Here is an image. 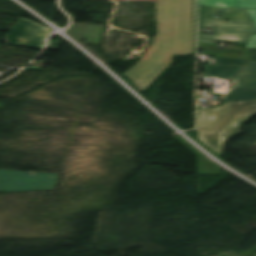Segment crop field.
<instances>
[{
  "instance_id": "crop-field-1",
  "label": "crop field",
  "mask_w": 256,
  "mask_h": 256,
  "mask_svg": "<svg viewBox=\"0 0 256 256\" xmlns=\"http://www.w3.org/2000/svg\"><path fill=\"white\" fill-rule=\"evenodd\" d=\"M156 25L147 55L124 73L140 90L168 66L174 54L193 52V3L156 4Z\"/></svg>"
},
{
  "instance_id": "crop-field-2",
  "label": "crop field",
  "mask_w": 256,
  "mask_h": 256,
  "mask_svg": "<svg viewBox=\"0 0 256 256\" xmlns=\"http://www.w3.org/2000/svg\"><path fill=\"white\" fill-rule=\"evenodd\" d=\"M256 115V101L225 103L198 117V140L220 155L221 137L232 138Z\"/></svg>"
},
{
  "instance_id": "crop-field-3",
  "label": "crop field",
  "mask_w": 256,
  "mask_h": 256,
  "mask_svg": "<svg viewBox=\"0 0 256 256\" xmlns=\"http://www.w3.org/2000/svg\"><path fill=\"white\" fill-rule=\"evenodd\" d=\"M58 175L0 170V192L54 189Z\"/></svg>"
},
{
  "instance_id": "crop-field-4",
  "label": "crop field",
  "mask_w": 256,
  "mask_h": 256,
  "mask_svg": "<svg viewBox=\"0 0 256 256\" xmlns=\"http://www.w3.org/2000/svg\"><path fill=\"white\" fill-rule=\"evenodd\" d=\"M204 28L214 29L213 35L198 31V39L247 44L251 35L256 33L252 22L199 20L198 29Z\"/></svg>"
},
{
  "instance_id": "crop-field-5",
  "label": "crop field",
  "mask_w": 256,
  "mask_h": 256,
  "mask_svg": "<svg viewBox=\"0 0 256 256\" xmlns=\"http://www.w3.org/2000/svg\"><path fill=\"white\" fill-rule=\"evenodd\" d=\"M48 34L46 28L25 19H20L5 38L10 45L42 50Z\"/></svg>"
},
{
  "instance_id": "crop-field-6",
  "label": "crop field",
  "mask_w": 256,
  "mask_h": 256,
  "mask_svg": "<svg viewBox=\"0 0 256 256\" xmlns=\"http://www.w3.org/2000/svg\"><path fill=\"white\" fill-rule=\"evenodd\" d=\"M218 11L223 12L217 14ZM198 16L199 19L252 21L246 9L198 7Z\"/></svg>"
},
{
  "instance_id": "crop-field-7",
  "label": "crop field",
  "mask_w": 256,
  "mask_h": 256,
  "mask_svg": "<svg viewBox=\"0 0 256 256\" xmlns=\"http://www.w3.org/2000/svg\"><path fill=\"white\" fill-rule=\"evenodd\" d=\"M243 67L244 66L207 65L205 66V75L199 76V78L233 80Z\"/></svg>"
},
{
  "instance_id": "crop-field-8",
  "label": "crop field",
  "mask_w": 256,
  "mask_h": 256,
  "mask_svg": "<svg viewBox=\"0 0 256 256\" xmlns=\"http://www.w3.org/2000/svg\"><path fill=\"white\" fill-rule=\"evenodd\" d=\"M236 86L256 88V62H250L235 78Z\"/></svg>"
},
{
  "instance_id": "crop-field-9",
  "label": "crop field",
  "mask_w": 256,
  "mask_h": 256,
  "mask_svg": "<svg viewBox=\"0 0 256 256\" xmlns=\"http://www.w3.org/2000/svg\"><path fill=\"white\" fill-rule=\"evenodd\" d=\"M199 6L256 8V0H198Z\"/></svg>"
},
{
  "instance_id": "crop-field-10",
  "label": "crop field",
  "mask_w": 256,
  "mask_h": 256,
  "mask_svg": "<svg viewBox=\"0 0 256 256\" xmlns=\"http://www.w3.org/2000/svg\"><path fill=\"white\" fill-rule=\"evenodd\" d=\"M256 99V90L232 87L221 101H236V100H250Z\"/></svg>"
},
{
  "instance_id": "crop-field-11",
  "label": "crop field",
  "mask_w": 256,
  "mask_h": 256,
  "mask_svg": "<svg viewBox=\"0 0 256 256\" xmlns=\"http://www.w3.org/2000/svg\"><path fill=\"white\" fill-rule=\"evenodd\" d=\"M198 173L220 174V168L198 156Z\"/></svg>"
},
{
  "instance_id": "crop-field-12",
  "label": "crop field",
  "mask_w": 256,
  "mask_h": 256,
  "mask_svg": "<svg viewBox=\"0 0 256 256\" xmlns=\"http://www.w3.org/2000/svg\"><path fill=\"white\" fill-rule=\"evenodd\" d=\"M256 26V9H247ZM246 47L256 48V34H253Z\"/></svg>"
},
{
  "instance_id": "crop-field-13",
  "label": "crop field",
  "mask_w": 256,
  "mask_h": 256,
  "mask_svg": "<svg viewBox=\"0 0 256 256\" xmlns=\"http://www.w3.org/2000/svg\"><path fill=\"white\" fill-rule=\"evenodd\" d=\"M61 44H62V42L50 41L48 49H59Z\"/></svg>"
},
{
  "instance_id": "crop-field-14",
  "label": "crop field",
  "mask_w": 256,
  "mask_h": 256,
  "mask_svg": "<svg viewBox=\"0 0 256 256\" xmlns=\"http://www.w3.org/2000/svg\"><path fill=\"white\" fill-rule=\"evenodd\" d=\"M193 2V0H157L156 3Z\"/></svg>"
},
{
  "instance_id": "crop-field-15",
  "label": "crop field",
  "mask_w": 256,
  "mask_h": 256,
  "mask_svg": "<svg viewBox=\"0 0 256 256\" xmlns=\"http://www.w3.org/2000/svg\"><path fill=\"white\" fill-rule=\"evenodd\" d=\"M248 52L250 53L252 59L251 61H256V49L247 48Z\"/></svg>"
},
{
  "instance_id": "crop-field-16",
  "label": "crop field",
  "mask_w": 256,
  "mask_h": 256,
  "mask_svg": "<svg viewBox=\"0 0 256 256\" xmlns=\"http://www.w3.org/2000/svg\"><path fill=\"white\" fill-rule=\"evenodd\" d=\"M228 140L229 139L222 138L221 156L223 155V150H224V147H225L226 143L228 142Z\"/></svg>"
},
{
  "instance_id": "crop-field-17",
  "label": "crop field",
  "mask_w": 256,
  "mask_h": 256,
  "mask_svg": "<svg viewBox=\"0 0 256 256\" xmlns=\"http://www.w3.org/2000/svg\"><path fill=\"white\" fill-rule=\"evenodd\" d=\"M47 30L49 31V33L51 32V30H50V29H48V28H47Z\"/></svg>"
}]
</instances>
